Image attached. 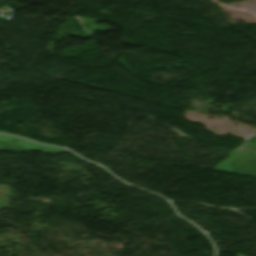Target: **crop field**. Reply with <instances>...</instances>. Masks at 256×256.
Here are the masks:
<instances>
[{
    "instance_id": "8a807250",
    "label": "crop field",
    "mask_w": 256,
    "mask_h": 256,
    "mask_svg": "<svg viewBox=\"0 0 256 256\" xmlns=\"http://www.w3.org/2000/svg\"><path fill=\"white\" fill-rule=\"evenodd\" d=\"M245 147L256 149V144L247 142ZM255 163H256V157L250 159L249 157L244 156L241 159H239L238 161H236L235 164L233 165V167L236 170H240V171L246 172Z\"/></svg>"
},
{
    "instance_id": "ac0d7876",
    "label": "crop field",
    "mask_w": 256,
    "mask_h": 256,
    "mask_svg": "<svg viewBox=\"0 0 256 256\" xmlns=\"http://www.w3.org/2000/svg\"><path fill=\"white\" fill-rule=\"evenodd\" d=\"M252 141H256V137H255V139L252 140ZM248 174L256 175V166H255L252 170H250V171L248 172Z\"/></svg>"
},
{
    "instance_id": "34b2d1b8",
    "label": "crop field",
    "mask_w": 256,
    "mask_h": 256,
    "mask_svg": "<svg viewBox=\"0 0 256 256\" xmlns=\"http://www.w3.org/2000/svg\"><path fill=\"white\" fill-rule=\"evenodd\" d=\"M237 256H242V255H240V254H237Z\"/></svg>"
}]
</instances>
